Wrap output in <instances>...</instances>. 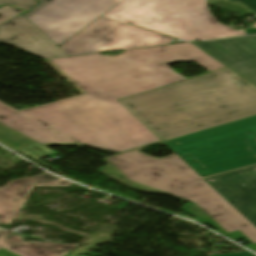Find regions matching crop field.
<instances>
[{"label": "crop field", "mask_w": 256, "mask_h": 256, "mask_svg": "<svg viewBox=\"0 0 256 256\" xmlns=\"http://www.w3.org/2000/svg\"><path fill=\"white\" fill-rule=\"evenodd\" d=\"M246 34L256 33V29L245 30Z\"/></svg>", "instance_id": "92a150f3"}, {"label": "crop field", "mask_w": 256, "mask_h": 256, "mask_svg": "<svg viewBox=\"0 0 256 256\" xmlns=\"http://www.w3.org/2000/svg\"><path fill=\"white\" fill-rule=\"evenodd\" d=\"M175 2H176V0H175ZM177 4V3H176ZM181 10V9H180ZM182 12V11H181ZM183 13V12H182ZM184 15V14H183ZM185 17V16H184ZM186 19V18H185ZM187 21V20H186ZM188 23V22H187ZM189 25V24H188Z\"/></svg>", "instance_id": "dafd665d"}, {"label": "crop field", "mask_w": 256, "mask_h": 256, "mask_svg": "<svg viewBox=\"0 0 256 256\" xmlns=\"http://www.w3.org/2000/svg\"><path fill=\"white\" fill-rule=\"evenodd\" d=\"M34 180V178L19 179L0 188V224H11V220L18 217V210L23 207ZM8 239L9 235L0 233V248Z\"/></svg>", "instance_id": "d1516ede"}, {"label": "crop field", "mask_w": 256, "mask_h": 256, "mask_svg": "<svg viewBox=\"0 0 256 256\" xmlns=\"http://www.w3.org/2000/svg\"><path fill=\"white\" fill-rule=\"evenodd\" d=\"M225 69L123 100L163 141L256 114V89Z\"/></svg>", "instance_id": "ac0d7876"}, {"label": "crop field", "mask_w": 256, "mask_h": 256, "mask_svg": "<svg viewBox=\"0 0 256 256\" xmlns=\"http://www.w3.org/2000/svg\"><path fill=\"white\" fill-rule=\"evenodd\" d=\"M133 0H124L121 3H119L117 6H115L114 8H112L110 11H108L107 13H105L103 15V17H111L113 14H115L116 12H118L119 10H121L123 7H125L126 5H128L129 3H131Z\"/></svg>", "instance_id": "bc2a9ffb"}, {"label": "crop field", "mask_w": 256, "mask_h": 256, "mask_svg": "<svg viewBox=\"0 0 256 256\" xmlns=\"http://www.w3.org/2000/svg\"><path fill=\"white\" fill-rule=\"evenodd\" d=\"M2 3H10L12 5L29 10L30 8H32L34 5L37 4V1L36 0H0V4Z\"/></svg>", "instance_id": "4a817a6b"}, {"label": "crop field", "mask_w": 256, "mask_h": 256, "mask_svg": "<svg viewBox=\"0 0 256 256\" xmlns=\"http://www.w3.org/2000/svg\"><path fill=\"white\" fill-rule=\"evenodd\" d=\"M24 156H27L45 166H47L48 164L38 160L46 155H49L51 153H53L50 149H48L47 147L40 145L36 142L16 151Z\"/></svg>", "instance_id": "5142ce71"}, {"label": "crop field", "mask_w": 256, "mask_h": 256, "mask_svg": "<svg viewBox=\"0 0 256 256\" xmlns=\"http://www.w3.org/2000/svg\"><path fill=\"white\" fill-rule=\"evenodd\" d=\"M166 143L203 177L256 164V115Z\"/></svg>", "instance_id": "412701ff"}, {"label": "crop field", "mask_w": 256, "mask_h": 256, "mask_svg": "<svg viewBox=\"0 0 256 256\" xmlns=\"http://www.w3.org/2000/svg\"><path fill=\"white\" fill-rule=\"evenodd\" d=\"M122 0H40L25 15L58 46Z\"/></svg>", "instance_id": "dd49c442"}, {"label": "crop field", "mask_w": 256, "mask_h": 256, "mask_svg": "<svg viewBox=\"0 0 256 256\" xmlns=\"http://www.w3.org/2000/svg\"><path fill=\"white\" fill-rule=\"evenodd\" d=\"M206 180L256 224V165Z\"/></svg>", "instance_id": "3316defc"}, {"label": "crop field", "mask_w": 256, "mask_h": 256, "mask_svg": "<svg viewBox=\"0 0 256 256\" xmlns=\"http://www.w3.org/2000/svg\"><path fill=\"white\" fill-rule=\"evenodd\" d=\"M239 1L256 13V0H230Z\"/></svg>", "instance_id": "214f88e0"}, {"label": "crop field", "mask_w": 256, "mask_h": 256, "mask_svg": "<svg viewBox=\"0 0 256 256\" xmlns=\"http://www.w3.org/2000/svg\"><path fill=\"white\" fill-rule=\"evenodd\" d=\"M97 171L133 190L169 194L191 205L183 208L219 233L251 243L256 251V227L175 154L154 158L138 151L102 160Z\"/></svg>", "instance_id": "34b2d1b8"}, {"label": "crop field", "mask_w": 256, "mask_h": 256, "mask_svg": "<svg viewBox=\"0 0 256 256\" xmlns=\"http://www.w3.org/2000/svg\"><path fill=\"white\" fill-rule=\"evenodd\" d=\"M174 39L99 17L59 47L74 56L164 45Z\"/></svg>", "instance_id": "f4fd0767"}, {"label": "crop field", "mask_w": 256, "mask_h": 256, "mask_svg": "<svg viewBox=\"0 0 256 256\" xmlns=\"http://www.w3.org/2000/svg\"><path fill=\"white\" fill-rule=\"evenodd\" d=\"M110 19L123 23L130 20L135 25L185 40L197 38L174 0H135Z\"/></svg>", "instance_id": "e52e79f7"}, {"label": "crop field", "mask_w": 256, "mask_h": 256, "mask_svg": "<svg viewBox=\"0 0 256 256\" xmlns=\"http://www.w3.org/2000/svg\"><path fill=\"white\" fill-rule=\"evenodd\" d=\"M21 237L10 235L8 243L3 248L14 252L20 256H64L77 244H26Z\"/></svg>", "instance_id": "22f410ed"}, {"label": "crop field", "mask_w": 256, "mask_h": 256, "mask_svg": "<svg viewBox=\"0 0 256 256\" xmlns=\"http://www.w3.org/2000/svg\"><path fill=\"white\" fill-rule=\"evenodd\" d=\"M0 43L45 59L68 56L24 16H17L0 25Z\"/></svg>", "instance_id": "5a996713"}, {"label": "crop field", "mask_w": 256, "mask_h": 256, "mask_svg": "<svg viewBox=\"0 0 256 256\" xmlns=\"http://www.w3.org/2000/svg\"><path fill=\"white\" fill-rule=\"evenodd\" d=\"M207 0H177L199 39H216L244 35V30L234 31L217 22L210 14Z\"/></svg>", "instance_id": "28ad6ade"}, {"label": "crop field", "mask_w": 256, "mask_h": 256, "mask_svg": "<svg viewBox=\"0 0 256 256\" xmlns=\"http://www.w3.org/2000/svg\"><path fill=\"white\" fill-rule=\"evenodd\" d=\"M194 44L256 86V36Z\"/></svg>", "instance_id": "d8731c3e"}, {"label": "crop field", "mask_w": 256, "mask_h": 256, "mask_svg": "<svg viewBox=\"0 0 256 256\" xmlns=\"http://www.w3.org/2000/svg\"><path fill=\"white\" fill-rule=\"evenodd\" d=\"M225 68L191 43L46 60L83 95L18 111L0 102V123L43 144L122 152L160 141L117 100L185 80L168 67Z\"/></svg>", "instance_id": "8a807250"}, {"label": "crop field", "mask_w": 256, "mask_h": 256, "mask_svg": "<svg viewBox=\"0 0 256 256\" xmlns=\"http://www.w3.org/2000/svg\"><path fill=\"white\" fill-rule=\"evenodd\" d=\"M32 142L34 141L0 124V143L3 145L16 151Z\"/></svg>", "instance_id": "cbeb9de0"}, {"label": "crop field", "mask_w": 256, "mask_h": 256, "mask_svg": "<svg viewBox=\"0 0 256 256\" xmlns=\"http://www.w3.org/2000/svg\"><path fill=\"white\" fill-rule=\"evenodd\" d=\"M24 12L21 9L6 5L0 8V24L6 22L7 20L15 17L16 15Z\"/></svg>", "instance_id": "733c2abd"}, {"label": "crop field", "mask_w": 256, "mask_h": 256, "mask_svg": "<svg viewBox=\"0 0 256 256\" xmlns=\"http://www.w3.org/2000/svg\"><path fill=\"white\" fill-rule=\"evenodd\" d=\"M35 178H37V179L35 180L33 186H68V185L72 184V183L64 180V181H61V182L46 185L45 183H51V182L59 179L58 177L53 176V175L48 174V173L36 176Z\"/></svg>", "instance_id": "d9b57169"}]
</instances>
